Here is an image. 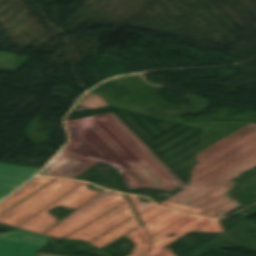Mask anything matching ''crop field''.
I'll return each instance as SVG.
<instances>
[{"label":"crop field","instance_id":"obj_1","mask_svg":"<svg viewBox=\"0 0 256 256\" xmlns=\"http://www.w3.org/2000/svg\"><path fill=\"white\" fill-rule=\"evenodd\" d=\"M87 184L72 180L56 179L0 215V222L17 226L50 204V207L19 226V228L41 234L54 225L61 216L77 209L100 193L88 189ZM129 196L154 241L148 256H175L171 251H161V249L189 231H224L219 220L194 216L185 212L160 207L153 203H142L136 196ZM122 201L125 203L65 238L83 240L101 248L125 234L135 243L133 251L128 256H146L151 241L144 226H140L141 228L129 234L127 233L140 224L125 195L120 193H101L43 235L62 238ZM60 205L71 209L64 212L58 218H55L57 215L53 216L47 212L50 208ZM126 220L128 221L92 241ZM170 233H176V235L172 238L167 237Z\"/></svg>","mask_w":256,"mask_h":256},{"label":"crop field","instance_id":"obj_2","mask_svg":"<svg viewBox=\"0 0 256 256\" xmlns=\"http://www.w3.org/2000/svg\"><path fill=\"white\" fill-rule=\"evenodd\" d=\"M256 166V124L222 122L203 131L190 187L161 205L220 217L239 206L230 181Z\"/></svg>","mask_w":256,"mask_h":256},{"label":"crop field","instance_id":"obj_3","mask_svg":"<svg viewBox=\"0 0 256 256\" xmlns=\"http://www.w3.org/2000/svg\"><path fill=\"white\" fill-rule=\"evenodd\" d=\"M45 237L26 230L0 234V256H35L48 242Z\"/></svg>","mask_w":256,"mask_h":256},{"label":"crop field","instance_id":"obj_4","mask_svg":"<svg viewBox=\"0 0 256 256\" xmlns=\"http://www.w3.org/2000/svg\"><path fill=\"white\" fill-rule=\"evenodd\" d=\"M39 170L0 163V199L7 196Z\"/></svg>","mask_w":256,"mask_h":256},{"label":"crop field","instance_id":"obj_5","mask_svg":"<svg viewBox=\"0 0 256 256\" xmlns=\"http://www.w3.org/2000/svg\"><path fill=\"white\" fill-rule=\"evenodd\" d=\"M52 179H54V178H52V177H39V178L35 179L30 184H28L26 187L21 189L19 192H17L13 196H11L10 198H8L4 202H2L0 204V213L3 212L4 210H6L7 208H9L10 206H12L13 204H15L17 201H19L20 199H22L23 197H25L26 195H28L32 191L36 190L37 188H39L40 186L44 185L45 183L49 182ZM37 181L39 183L35 187H33L31 190H29Z\"/></svg>","mask_w":256,"mask_h":256},{"label":"crop field","instance_id":"obj_6","mask_svg":"<svg viewBox=\"0 0 256 256\" xmlns=\"http://www.w3.org/2000/svg\"><path fill=\"white\" fill-rule=\"evenodd\" d=\"M79 105L86 106L88 109H95L108 106L101 97L94 94H89L88 96H86Z\"/></svg>","mask_w":256,"mask_h":256},{"label":"crop field","instance_id":"obj_7","mask_svg":"<svg viewBox=\"0 0 256 256\" xmlns=\"http://www.w3.org/2000/svg\"><path fill=\"white\" fill-rule=\"evenodd\" d=\"M38 256H57V255L39 254Z\"/></svg>","mask_w":256,"mask_h":256}]
</instances>
